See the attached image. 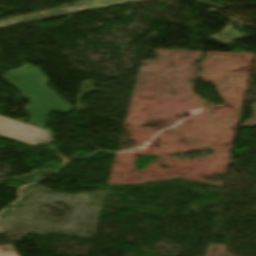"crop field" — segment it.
<instances>
[{
	"label": "crop field",
	"mask_w": 256,
	"mask_h": 256,
	"mask_svg": "<svg viewBox=\"0 0 256 256\" xmlns=\"http://www.w3.org/2000/svg\"><path fill=\"white\" fill-rule=\"evenodd\" d=\"M2 78L31 99L27 114L31 115V125L0 116V137L29 144L31 146L51 143L47 130H43L49 111L69 112L71 107L45 85L48 80L35 66L13 71Z\"/></svg>",
	"instance_id": "obj_1"
},
{
	"label": "crop field",
	"mask_w": 256,
	"mask_h": 256,
	"mask_svg": "<svg viewBox=\"0 0 256 256\" xmlns=\"http://www.w3.org/2000/svg\"><path fill=\"white\" fill-rule=\"evenodd\" d=\"M14 255H16V253H12V252L3 253V252H0V256H14Z\"/></svg>",
	"instance_id": "obj_2"
}]
</instances>
